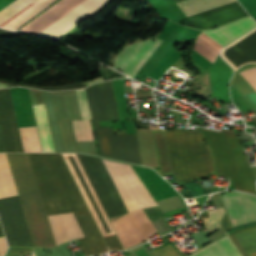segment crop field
<instances>
[{
	"label": "crop field",
	"mask_w": 256,
	"mask_h": 256,
	"mask_svg": "<svg viewBox=\"0 0 256 256\" xmlns=\"http://www.w3.org/2000/svg\"><path fill=\"white\" fill-rule=\"evenodd\" d=\"M48 215L73 212L85 238V253L108 251L60 154H29Z\"/></svg>",
	"instance_id": "1"
},
{
	"label": "crop field",
	"mask_w": 256,
	"mask_h": 256,
	"mask_svg": "<svg viewBox=\"0 0 256 256\" xmlns=\"http://www.w3.org/2000/svg\"><path fill=\"white\" fill-rule=\"evenodd\" d=\"M77 156L108 217L128 212L102 160ZM109 219L124 248L135 245L156 232L142 209Z\"/></svg>",
	"instance_id": "2"
},
{
	"label": "crop field",
	"mask_w": 256,
	"mask_h": 256,
	"mask_svg": "<svg viewBox=\"0 0 256 256\" xmlns=\"http://www.w3.org/2000/svg\"><path fill=\"white\" fill-rule=\"evenodd\" d=\"M34 246H55L28 154H6Z\"/></svg>",
	"instance_id": "3"
},
{
	"label": "crop field",
	"mask_w": 256,
	"mask_h": 256,
	"mask_svg": "<svg viewBox=\"0 0 256 256\" xmlns=\"http://www.w3.org/2000/svg\"><path fill=\"white\" fill-rule=\"evenodd\" d=\"M165 132L176 182L201 178L214 172L212 157L202 133L184 130Z\"/></svg>",
	"instance_id": "4"
},
{
	"label": "crop field",
	"mask_w": 256,
	"mask_h": 256,
	"mask_svg": "<svg viewBox=\"0 0 256 256\" xmlns=\"http://www.w3.org/2000/svg\"><path fill=\"white\" fill-rule=\"evenodd\" d=\"M206 141L212 151L217 173L230 177L236 190L256 194V183L235 132L205 129Z\"/></svg>",
	"instance_id": "5"
},
{
	"label": "crop field",
	"mask_w": 256,
	"mask_h": 256,
	"mask_svg": "<svg viewBox=\"0 0 256 256\" xmlns=\"http://www.w3.org/2000/svg\"><path fill=\"white\" fill-rule=\"evenodd\" d=\"M82 1L83 0H61L36 19L21 28L20 31L38 34ZM107 1L108 0H85L42 31L39 35L58 39L73 28L84 17L97 11Z\"/></svg>",
	"instance_id": "6"
},
{
	"label": "crop field",
	"mask_w": 256,
	"mask_h": 256,
	"mask_svg": "<svg viewBox=\"0 0 256 256\" xmlns=\"http://www.w3.org/2000/svg\"><path fill=\"white\" fill-rule=\"evenodd\" d=\"M85 91L101 156L142 164L136 134L114 136L109 126L100 127L90 86Z\"/></svg>",
	"instance_id": "7"
},
{
	"label": "crop field",
	"mask_w": 256,
	"mask_h": 256,
	"mask_svg": "<svg viewBox=\"0 0 256 256\" xmlns=\"http://www.w3.org/2000/svg\"><path fill=\"white\" fill-rule=\"evenodd\" d=\"M129 212L156 205V202L135 174L131 165L103 160Z\"/></svg>",
	"instance_id": "8"
},
{
	"label": "crop field",
	"mask_w": 256,
	"mask_h": 256,
	"mask_svg": "<svg viewBox=\"0 0 256 256\" xmlns=\"http://www.w3.org/2000/svg\"><path fill=\"white\" fill-rule=\"evenodd\" d=\"M232 226L256 222V197L228 192L221 195ZM227 213L224 217L228 228H232Z\"/></svg>",
	"instance_id": "9"
},
{
	"label": "crop field",
	"mask_w": 256,
	"mask_h": 256,
	"mask_svg": "<svg viewBox=\"0 0 256 256\" xmlns=\"http://www.w3.org/2000/svg\"><path fill=\"white\" fill-rule=\"evenodd\" d=\"M153 40L155 41L152 42ZM161 42L162 40L153 38L125 46L116 57L115 68L133 77Z\"/></svg>",
	"instance_id": "10"
},
{
	"label": "crop field",
	"mask_w": 256,
	"mask_h": 256,
	"mask_svg": "<svg viewBox=\"0 0 256 256\" xmlns=\"http://www.w3.org/2000/svg\"><path fill=\"white\" fill-rule=\"evenodd\" d=\"M91 87L99 120L119 119L111 80Z\"/></svg>",
	"instance_id": "11"
},
{
	"label": "crop field",
	"mask_w": 256,
	"mask_h": 256,
	"mask_svg": "<svg viewBox=\"0 0 256 256\" xmlns=\"http://www.w3.org/2000/svg\"><path fill=\"white\" fill-rule=\"evenodd\" d=\"M234 25H236L240 30H242L244 33L251 30L252 28L256 27V22L253 21L251 18H245L236 22H233ZM232 23L225 25V27L231 31L237 38L244 34L242 31H240L236 26H234ZM224 26L213 29V30H206L205 32L208 36H210L212 39H214L216 42H218L223 47L227 44H229L231 41L237 39L232 33H230ZM199 46H201L203 49L211 53L213 56H217L216 53H214L211 49H209L206 45H204L201 41H197Z\"/></svg>",
	"instance_id": "12"
},
{
	"label": "crop field",
	"mask_w": 256,
	"mask_h": 256,
	"mask_svg": "<svg viewBox=\"0 0 256 256\" xmlns=\"http://www.w3.org/2000/svg\"><path fill=\"white\" fill-rule=\"evenodd\" d=\"M56 244L83 237L72 213L48 216Z\"/></svg>",
	"instance_id": "13"
},
{
	"label": "crop field",
	"mask_w": 256,
	"mask_h": 256,
	"mask_svg": "<svg viewBox=\"0 0 256 256\" xmlns=\"http://www.w3.org/2000/svg\"><path fill=\"white\" fill-rule=\"evenodd\" d=\"M0 128L6 152H24L15 114L0 115Z\"/></svg>",
	"instance_id": "14"
},
{
	"label": "crop field",
	"mask_w": 256,
	"mask_h": 256,
	"mask_svg": "<svg viewBox=\"0 0 256 256\" xmlns=\"http://www.w3.org/2000/svg\"><path fill=\"white\" fill-rule=\"evenodd\" d=\"M62 155H63V157H64V159H65V161H66V163H67V165H68V167H69V169H70V171H71V173H72V175H73V177H74V179H75V181H76V183H77V185H78V187H79V189H80V191H81V193H82V195H83V197H84V199H85V201H86V203H87V205H88V207H89V209H90V211H91V213H92V215L95 219V221H96V224H97L102 236L103 237L110 236L111 234L106 235V233H105V231H104V229H103V227H102V225H101V223H100V221H99V219H98V217H97V215H96V213H95V211H94V209H93V207H92V205H91V203H90V201H89V199H88V197H87V195H86V193H85V191H84V189H83V187H82V185H81V183H80V181H79V179H78V177H77V175H76V173H75V171H74V169H73V167H72V165L69 161V159H68V157H67V155H71V154H62ZM72 155H73V158H74V160H75V162H76V164H77V166H78V168H79V170H80V172H81V174H82V176H83V178H84V180H85V182H86V184H87V186H88V188L91 192V194L93 195V197H94V199H95V201H96V203H97V205H98V207H99V209H100V211H101V213H102V215H103V217H104V219H105V221H106V223H107V225H108V227L111 231V233L113 235L116 234L112 225H111V223H110V221H109V219L107 218V216H106V214H105V212H104V210H103V208H102V206H101V204H100V202H99V200H98V198H97V196H96V194H95V192H94V190H93V188H92V186H91V184H90V182H89V180H88V178H87V176H86V174H85V172H84V170L81 166V164L79 163L76 155L75 154H72Z\"/></svg>",
	"instance_id": "15"
},
{
	"label": "crop field",
	"mask_w": 256,
	"mask_h": 256,
	"mask_svg": "<svg viewBox=\"0 0 256 256\" xmlns=\"http://www.w3.org/2000/svg\"><path fill=\"white\" fill-rule=\"evenodd\" d=\"M190 256H242L227 236L199 249Z\"/></svg>",
	"instance_id": "16"
},
{
	"label": "crop field",
	"mask_w": 256,
	"mask_h": 256,
	"mask_svg": "<svg viewBox=\"0 0 256 256\" xmlns=\"http://www.w3.org/2000/svg\"><path fill=\"white\" fill-rule=\"evenodd\" d=\"M244 256H256V226L229 234Z\"/></svg>",
	"instance_id": "17"
},
{
	"label": "crop field",
	"mask_w": 256,
	"mask_h": 256,
	"mask_svg": "<svg viewBox=\"0 0 256 256\" xmlns=\"http://www.w3.org/2000/svg\"><path fill=\"white\" fill-rule=\"evenodd\" d=\"M44 152H55L44 104L33 106Z\"/></svg>",
	"instance_id": "18"
},
{
	"label": "crop field",
	"mask_w": 256,
	"mask_h": 256,
	"mask_svg": "<svg viewBox=\"0 0 256 256\" xmlns=\"http://www.w3.org/2000/svg\"><path fill=\"white\" fill-rule=\"evenodd\" d=\"M157 156L158 163L161 170H157L162 177L171 175V166L168 155V149L166 144L165 132L164 130H152Z\"/></svg>",
	"instance_id": "19"
},
{
	"label": "crop field",
	"mask_w": 256,
	"mask_h": 256,
	"mask_svg": "<svg viewBox=\"0 0 256 256\" xmlns=\"http://www.w3.org/2000/svg\"><path fill=\"white\" fill-rule=\"evenodd\" d=\"M233 1L236 0H183L177 4L189 17Z\"/></svg>",
	"instance_id": "20"
},
{
	"label": "crop field",
	"mask_w": 256,
	"mask_h": 256,
	"mask_svg": "<svg viewBox=\"0 0 256 256\" xmlns=\"http://www.w3.org/2000/svg\"><path fill=\"white\" fill-rule=\"evenodd\" d=\"M16 194V187L6 155L0 154V198Z\"/></svg>",
	"instance_id": "21"
},
{
	"label": "crop field",
	"mask_w": 256,
	"mask_h": 256,
	"mask_svg": "<svg viewBox=\"0 0 256 256\" xmlns=\"http://www.w3.org/2000/svg\"><path fill=\"white\" fill-rule=\"evenodd\" d=\"M19 129L25 152H42L36 126Z\"/></svg>",
	"instance_id": "22"
},
{
	"label": "crop field",
	"mask_w": 256,
	"mask_h": 256,
	"mask_svg": "<svg viewBox=\"0 0 256 256\" xmlns=\"http://www.w3.org/2000/svg\"><path fill=\"white\" fill-rule=\"evenodd\" d=\"M36 0H15L0 11V25Z\"/></svg>",
	"instance_id": "23"
},
{
	"label": "crop field",
	"mask_w": 256,
	"mask_h": 256,
	"mask_svg": "<svg viewBox=\"0 0 256 256\" xmlns=\"http://www.w3.org/2000/svg\"><path fill=\"white\" fill-rule=\"evenodd\" d=\"M77 141L94 140L89 119L72 121Z\"/></svg>",
	"instance_id": "24"
},
{
	"label": "crop field",
	"mask_w": 256,
	"mask_h": 256,
	"mask_svg": "<svg viewBox=\"0 0 256 256\" xmlns=\"http://www.w3.org/2000/svg\"><path fill=\"white\" fill-rule=\"evenodd\" d=\"M15 113L9 89L0 90V114Z\"/></svg>",
	"instance_id": "25"
},
{
	"label": "crop field",
	"mask_w": 256,
	"mask_h": 256,
	"mask_svg": "<svg viewBox=\"0 0 256 256\" xmlns=\"http://www.w3.org/2000/svg\"><path fill=\"white\" fill-rule=\"evenodd\" d=\"M224 213H225L224 208L209 212L210 218L207 219L206 225H207V228L210 230V232L221 227L219 222Z\"/></svg>",
	"instance_id": "26"
},
{
	"label": "crop field",
	"mask_w": 256,
	"mask_h": 256,
	"mask_svg": "<svg viewBox=\"0 0 256 256\" xmlns=\"http://www.w3.org/2000/svg\"><path fill=\"white\" fill-rule=\"evenodd\" d=\"M75 92H76L82 119L91 118L84 89L83 90H75Z\"/></svg>",
	"instance_id": "27"
},
{
	"label": "crop field",
	"mask_w": 256,
	"mask_h": 256,
	"mask_svg": "<svg viewBox=\"0 0 256 256\" xmlns=\"http://www.w3.org/2000/svg\"><path fill=\"white\" fill-rule=\"evenodd\" d=\"M151 253L153 256H180L171 245L156 249Z\"/></svg>",
	"instance_id": "28"
},
{
	"label": "crop field",
	"mask_w": 256,
	"mask_h": 256,
	"mask_svg": "<svg viewBox=\"0 0 256 256\" xmlns=\"http://www.w3.org/2000/svg\"><path fill=\"white\" fill-rule=\"evenodd\" d=\"M109 249L110 250H118V249H123V247L121 246L117 236H110V237H106L104 238Z\"/></svg>",
	"instance_id": "29"
},
{
	"label": "crop field",
	"mask_w": 256,
	"mask_h": 256,
	"mask_svg": "<svg viewBox=\"0 0 256 256\" xmlns=\"http://www.w3.org/2000/svg\"><path fill=\"white\" fill-rule=\"evenodd\" d=\"M20 86H24V85H20ZM25 87H30V86H25ZM82 87H86L84 82L74 84V85H69V86L52 87V88H38V89L57 90V89H69V88H82ZM31 88H37V87H31Z\"/></svg>",
	"instance_id": "30"
},
{
	"label": "crop field",
	"mask_w": 256,
	"mask_h": 256,
	"mask_svg": "<svg viewBox=\"0 0 256 256\" xmlns=\"http://www.w3.org/2000/svg\"><path fill=\"white\" fill-rule=\"evenodd\" d=\"M6 248H7V244H6L5 238L2 237L0 238V256H3V254L6 251Z\"/></svg>",
	"instance_id": "31"
},
{
	"label": "crop field",
	"mask_w": 256,
	"mask_h": 256,
	"mask_svg": "<svg viewBox=\"0 0 256 256\" xmlns=\"http://www.w3.org/2000/svg\"><path fill=\"white\" fill-rule=\"evenodd\" d=\"M101 80H103L102 77L97 78V79H94V80H91V81H87V82H85V83H86V85L88 86V85H90V84H92V83H94V82L101 81Z\"/></svg>",
	"instance_id": "32"
},
{
	"label": "crop field",
	"mask_w": 256,
	"mask_h": 256,
	"mask_svg": "<svg viewBox=\"0 0 256 256\" xmlns=\"http://www.w3.org/2000/svg\"><path fill=\"white\" fill-rule=\"evenodd\" d=\"M1 83H7V84H11V85H15V86H18V84H15V83H10V82H6V81H2L0 80Z\"/></svg>",
	"instance_id": "33"
},
{
	"label": "crop field",
	"mask_w": 256,
	"mask_h": 256,
	"mask_svg": "<svg viewBox=\"0 0 256 256\" xmlns=\"http://www.w3.org/2000/svg\"><path fill=\"white\" fill-rule=\"evenodd\" d=\"M6 87H8V86H6L5 84L0 83V88H6Z\"/></svg>",
	"instance_id": "34"
}]
</instances>
